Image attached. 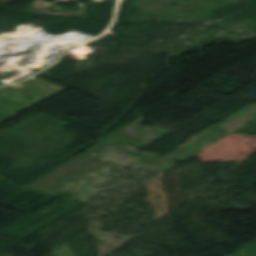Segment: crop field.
Returning <instances> with one entry per match:
<instances>
[{
    "instance_id": "crop-field-1",
    "label": "crop field",
    "mask_w": 256,
    "mask_h": 256,
    "mask_svg": "<svg viewBox=\"0 0 256 256\" xmlns=\"http://www.w3.org/2000/svg\"><path fill=\"white\" fill-rule=\"evenodd\" d=\"M65 89L36 76L0 88V122Z\"/></svg>"
}]
</instances>
